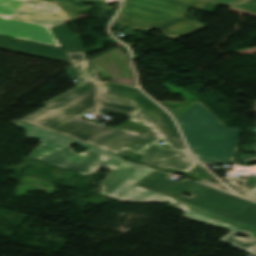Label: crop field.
<instances>
[{"instance_id":"crop-field-8","label":"crop field","mask_w":256,"mask_h":256,"mask_svg":"<svg viewBox=\"0 0 256 256\" xmlns=\"http://www.w3.org/2000/svg\"><path fill=\"white\" fill-rule=\"evenodd\" d=\"M0 50L72 63L63 49L0 36Z\"/></svg>"},{"instance_id":"crop-field-4","label":"crop field","mask_w":256,"mask_h":256,"mask_svg":"<svg viewBox=\"0 0 256 256\" xmlns=\"http://www.w3.org/2000/svg\"><path fill=\"white\" fill-rule=\"evenodd\" d=\"M175 119L191 151L204 165L234 161L241 129L227 128L201 103Z\"/></svg>"},{"instance_id":"crop-field-22","label":"crop field","mask_w":256,"mask_h":256,"mask_svg":"<svg viewBox=\"0 0 256 256\" xmlns=\"http://www.w3.org/2000/svg\"><path fill=\"white\" fill-rule=\"evenodd\" d=\"M80 1H89V0H80Z\"/></svg>"},{"instance_id":"crop-field-2","label":"crop field","mask_w":256,"mask_h":256,"mask_svg":"<svg viewBox=\"0 0 256 256\" xmlns=\"http://www.w3.org/2000/svg\"><path fill=\"white\" fill-rule=\"evenodd\" d=\"M100 100L136 107L131 120L151 127L144 134L117 128L90 142L94 146L117 153L123 149L144 156L143 162L159 168L190 172L197 162L189 152L159 147L164 138L172 148L185 149L179 132L170 116L138 89L113 83H103ZM164 159V161H161Z\"/></svg>"},{"instance_id":"crop-field-19","label":"crop field","mask_w":256,"mask_h":256,"mask_svg":"<svg viewBox=\"0 0 256 256\" xmlns=\"http://www.w3.org/2000/svg\"><path fill=\"white\" fill-rule=\"evenodd\" d=\"M200 182L230 192L223 184H213V183L208 182V181H205V180H203V179H201Z\"/></svg>"},{"instance_id":"crop-field-20","label":"crop field","mask_w":256,"mask_h":256,"mask_svg":"<svg viewBox=\"0 0 256 256\" xmlns=\"http://www.w3.org/2000/svg\"><path fill=\"white\" fill-rule=\"evenodd\" d=\"M216 6L217 4L206 2L202 10L207 12H213Z\"/></svg>"},{"instance_id":"crop-field-15","label":"crop field","mask_w":256,"mask_h":256,"mask_svg":"<svg viewBox=\"0 0 256 256\" xmlns=\"http://www.w3.org/2000/svg\"><path fill=\"white\" fill-rule=\"evenodd\" d=\"M231 7H235V8H239V9H243V10H246V11L256 13V0H247L243 3L236 4V5L231 6Z\"/></svg>"},{"instance_id":"crop-field-14","label":"crop field","mask_w":256,"mask_h":256,"mask_svg":"<svg viewBox=\"0 0 256 256\" xmlns=\"http://www.w3.org/2000/svg\"><path fill=\"white\" fill-rule=\"evenodd\" d=\"M76 67H77L82 78L100 81L98 79V77L95 75V73H94L93 69L91 68L90 64L88 63V61L76 64Z\"/></svg>"},{"instance_id":"crop-field-3","label":"crop field","mask_w":256,"mask_h":256,"mask_svg":"<svg viewBox=\"0 0 256 256\" xmlns=\"http://www.w3.org/2000/svg\"><path fill=\"white\" fill-rule=\"evenodd\" d=\"M99 86L98 82L82 80L21 120L88 143L113 130L79 118L96 106Z\"/></svg>"},{"instance_id":"crop-field-17","label":"crop field","mask_w":256,"mask_h":256,"mask_svg":"<svg viewBox=\"0 0 256 256\" xmlns=\"http://www.w3.org/2000/svg\"><path fill=\"white\" fill-rule=\"evenodd\" d=\"M68 74L70 75L71 79L81 78L75 65L71 66L70 68L66 69Z\"/></svg>"},{"instance_id":"crop-field-7","label":"crop field","mask_w":256,"mask_h":256,"mask_svg":"<svg viewBox=\"0 0 256 256\" xmlns=\"http://www.w3.org/2000/svg\"><path fill=\"white\" fill-rule=\"evenodd\" d=\"M0 35L60 47L51 30L46 27L0 18Z\"/></svg>"},{"instance_id":"crop-field-12","label":"crop field","mask_w":256,"mask_h":256,"mask_svg":"<svg viewBox=\"0 0 256 256\" xmlns=\"http://www.w3.org/2000/svg\"><path fill=\"white\" fill-rule=\"evenodd\" d=\"M135 109L136 108L133 107L100 101L98 114L103 115L109 112L120 116L130 117Z\"/></svg>"},{"instance_id":"crop-field-9","label":"crop field","mask_w":256,"mask_h":256,"mask_svg":"<svg viewBox=\"0 0 256 256\" xmlns=\"http://www.w3.org/2000/svg\"><path fill=\"white\" fill-rule=\"evenodd\" d=\"M51 30L66 52L82 51L78 37L65 24L52 28Z\"/></svg>"},{"instance_id":"crop-field-6","label":"crop field","mask_w":256,"mask_h":256,"mask_svg":"<svg viewBox=\"0 0 256 256\" xmlns=\"http://www.w3.org/2000/svg\"><path fill=\"white\" fill-rule=\"evenodd\" d=\"M11 20L54 27L70 20L58 6L41 0H25L15 17Z\"/></svg>"},{"instance_id":"crop-field-11","label":"crop field","mask_w":256,"mask_h":256,"mask_svg":"<svg viewBox=\"0 0 256 256\" xmlns=\"http://www.w3.org/2000/svg\"><path fill=\"white\" fill-rule=\"evenodd\" d=\"M235 234L236 233L230 232L220 241L225 242L227 244H232L234 248H238L240 250H243L256 256V238L249 237L247 239H243L234 236Z\"/></svg>"},{"instance_id":"crop-field-1","label":"crop field","mask_w":256,"mask_h":256,"mask_svg":"<svg viewBox=\"0 0 256 256\" xmlns=\"http://www.w3.org/2000/svg\"><path fill=\"white\" fill-rule=\"evenodd\" d=\"M27 131V136L42 141L28 157L88 176L100 167L112 169L102 183V193L126 201H165L186 210V217L233 232H249L256 237V204L223 193L193 181H173L169 173L146 165L127 162L122 157L89 146L75 139L37 126L15 123ZM74 144L90 150L75 154ZM192 193L194 197L181 196Z\"/></svg>"},{"instance_id":"crop-field-18","label":"crop field","mask_w":256,"mask_h":256,"mask_svg":"<svg viewBox=\"0 0 256 256\" xmlns=\"http://www.w3.org/2000/svg\"><path fill=\"white\" fill-rule=\"evenodd\" d=\"M211 1H215V2H218V3H221V4H225V5L231 6L233 4H236V3H239V2H243L245 0H211Z\"/></svg>"},{"instance_id":"crop-field-5","label":"crop field","mask_w":256,"mask_h":256,"mask_svg":"<svg viewBox=\"0 0 256 256\" xmlns=\"http://www.w3.org/2000/svg\"><path fill=\"white\" fill-rule=\"evenodd\" d=\"M204 0H125L116 19L133 29H160L167 37L178 38L207 25L184 18L190 7L199 10Z\"/></svg>"},{"instance_id":"crop-field-13","label":"crop field","mask_w":256,"mask_h":256,"mask_svg":"<svg viewBox=\"0 0 256 256\" xmlns=\"http://www.w3.org/2000/svg\"><path fill=\"white\" fill-rule=\"evenodd\" d=\"M24 0H0V16L12 18Z\"/></svg>"},{"instance_id":"crop-field-21","label":"crop field","mask_w":256,"mask_h":256,"mask_svg":"<svg viewBox=\"0 0 256 256\" xmlns=\"http://www.w3.org/2000/svg\"><path fill=\"white\" fill-rule=\"evenodd\" d=\"M249 173H255L256 174V166H250L249 167Z\"/></svg>"},{"instance_id":"crop-field-16","label":"crop field","mask_w":256,"mask_h":256,"mask_svg":"<svg viewBox=\"0 0 256 256\" xmlns=\"http://www.w3.org/2000/svg\"><path fill=\"white\" fill-rule=\"evenodd\" d=\"M68 55L70 56L73 63H76V62H79V61L85 59L82 52L81 53H68Z\"/></svg>"},{"instance_id":"crop-field-10","label":"crop field","mask_w":256,"mask_h":256,"mask_svg":"<svg viewBox=\"0 0 256 256\" xmlns=\"http://www.w3.org/2000/svg\"><path fill=\"white\" fill-rule=\"evenodd\" d=\"M239 182L243 183L244 185L239 186ZM225 184L237 194L256 201V179H240L237 177H230Z\"/></svg>"}]
</instances>
